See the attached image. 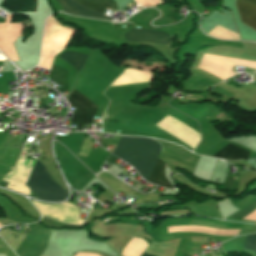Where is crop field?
Listing matches in <instances>:
<instances>
[{"label":"crop field","instance_id":"8a807250","mask_svg":"<svg viewBox=\"0 0 256 256\" xmlns=\"http://www.w3.org/2000/svg\"><path fill=\"white\" fill-rule=\"evenodd\" d=\"M161 146L151 139L139 137H121L113 154L130 163L147 180Z\"/></svg>","mask_w":256,"mask_h":256},{"label":"crop field","instance_id":"ac0d7876","mask_svg":"<svg viewBox=\"0 0 256 256\" xmlns=\"http://www.w3.org/2000/svg\"><path fill=\"white\" fill-rule=\"evenodd\" d=\"M27 185L38 197L45 200L61 201L64 200L67 195V192L61 189L51 179L47 170L39 161H36Z\"/></svg>","mask_w":256,"mask_h":256},{"label":"crop field","instance_id":"34b2d1b8","mask_svg":"<svg viewBox=\"0 0 256 256\" xmlns=\"http://www.w3.org/2000/svg\"><path fill=\"white\" fill-rule=\"evenodd\" d=\"M124 37L129 42H153L157 44H168L170 42V36L166 33L146 29H132Z\"/></svg>","mask_w":256,"mask_h":256},{"label":"crop field","instance_id":"412701ff","mask_svg":"<svg viewBox=\"0 0 256 256\" xmlns=\"http://www.w3.org/2000/svg\"><path fill=\"white\" fill-rule=\"evenodd\" d=\"M256 3V0H251ZM250 0H238L237 6L241 20L256 29V4Z\"/></svg>","mask_w":256,"mask_h":256},{"label":"crop field","instance_id":"f4fd0767","mask_svg":"<svg viewBox=\"0 0 256 256\" xmlns=\"http://www.w3.org/2000/svg\"><path fill=\"white\" fill-rule=\"evenodd\" d=\"M170 233L174 232H182V231H194V232H204L219 236H229V235H237L239 230H219L207 227H199V226H191V225H181V226H172L168 227Z\"/></svg>","mask_w":256,"mask_h":256},{"label":"crop field","instance_id":"dd49c442","mask_svg":"<svg viewBox=\"0 0 256 256\" xmlns=\"http://www.w3.org/2000/svg\"><path fill=\"white\" fill-rule=\"evenodd\" d=\"M56 1L62 6V8L64 9L65 12L110 20L109 17L99 14V13H96V12H93V11H90V10H87V9L83 8L82 6L74 3L71 0H56Z\"/></svg>","mask_w":256,"mask_h":256},{"label":"crop field","instance_id":"e52e79f7","mask_svg":"<svg viewBox=\"0 0 256 256\" xmlns=\"http://www.w3.org/2000/svg\"><path fill=\"white\" fill-rule=\"evenodd\" d=\"M248 153H249L248 151L229 143L220 151L215 153L213 157L227 159V160H238V159L248 158Z\"/></svg>","mask_w":256,"mask_h":256},{"label":"crop field","instance_id":"d8731c3e","mask_svg":"<svg viewBox=\"0 0 256 256\" xmlns=\"http://www.w3.org/2000/svg\"><path fill=\"white\" fill-rule=\"evenodd\" d=\"M0 6L10 12H28L35 11V0H4Z\"/></svg>","mask_w":256,"mask_h":256},{"label":"crop field","instance_id":"5a996713","mask_svg":"<svg viewBox=\"0 0 256 256\" xmlns=\"http://www.w3.org/2000/svg\"><path fill=\"white\" fill-rule=\"evenodd\" d=\"M97 108H77L71 121L77 122L76 130L82 131L83 124H90Z\"/></svg>","mask_w":256,"mask_h":256},{"label":"crop field","instance_id":"3316defc","mask_svg":"<svg viewBox=\"0 0 256 256\" xmlns=\"http://www.w3.org/2000/svg\"><path fill=\"white\" fill-rule=\"evenodd\" d=\"M75 1L79 2L80 4H82L83 6L89 9L96 10L102 13L104 12V9L106 7L117 9V6L114 0H75Z\"/></svg>","mask_w":256,"mask_h":256},{"label":"crop field","instance_id":"28ad6ade","mask_svg":"<svg viewBox=\"0 0 256 256\" xmlns=\"http://www.w3.org/2000/svg\"><path fill=\"white\" fill-rule=\"evenodd\" d=\"M49 79L63 85L61 93L68 90V71L53 64Z\"/></svg>","mask_w":256,"mask_h":256},{"label":"crop field","instance_id":"d1516ede","mask_svg":"<svg viewBox=\"0 0 256 256\" xmlns=\"http://www.w3.org/2000/svg\"><path fill=\"white\" fill-rule=\"evenodd\" d=\"M149 182L171 188L164 176V163L158 159L149 179Z\"/></svg>","mask_w":256,"mask_h":256},{"label":"crop field","instance_id":"22f410ed","mask_svg":"<svg viewBox=\"0 0 256 256\" xmlns=\"http://www.w3.org/2000/svg\"><path fill=\"white\" fill-rule=\"evenodd\" d=\"M58 57L70 63L79 72L88 56L66 51Z\"/></svg>","mask_w":256,"mask_h":256},{"label":"crop field","instance_id":"cbeb9de0","mask_svg":"<svg viewBox=\"0 0 256 256\" xmlns=\"http://www.w3.org/2000/svg\"><path fill=\"white\" fill-rule=\"evenodd\" d=\"M68 102L71 106L74 107H90V106H96L91 101H89L86 97H84L82 94L76 92L73 90L72 94L70 95Z\"/></svg>","mask_w":256,"mask_h":256},{"label":"crop field","instance_id":"5142ce71","mask_svg":"<svg viewBox=\"0 0 256 256\" xmlns=\"http://www.w3.org/2000/svg\"><path fill=\"white\" fill-rule=\"evenodd\" d=\"M255 210H256V201L251 205H249L247 208H245L242 212L236 214L233 217L243 219L244 217H246L247 215H249ZM245 219L256 221V211L250 214L249 216H247Z\"/></svg>","mask_w":256,"mask_h":256},{"label":"crop field","instance_id":"d9b57169","mask_svg":"<svg viewBox=\"0 0 256 256\" xmlns=\"http://www.w3.org/2000/svg\"><path fill=\"white\" fill-rule=\"evenodd\" d=\"M244 248L256 253V235L247 236Z\"/></svg>","mask_w":256,"mask_h":256},{"label":"crop field","instance_id":"733c2abd","mask_svg":"<svg viewBox=\"0 0 256 256\" xmlns=\"http://www.w3.org/2000/svg\"><path fill=\"white\" fill-rule=\"evenodd\" d=\"M248 163L252 164V167L256 168V160H248Z\"/></svg>","mask_w":256,"mask_h":256},{"label":"crop field","instance_id":"4a817a6b","mask_svg":"<svg viewBox=\"0 0 256 256\" xmlns=\"http://www.w3.org/2000/svg\"><path fill=\"white\" fill-rule=\"evenodd\" d=\"M141 256H150V255H147V254H144V253H143Z\"/></svg>","mask_w":256,"mask_h":256},{"label":"crop field","instance_id":"bc2a9ffb","mask_svg":"<svg viewBox=\"0 0 256 256\" xmlns=\"http://www.w3.org/2000/svg\"><path fill=\"white\" fill-rule=\"evenodd\" d=\"M34 162H35V161H33L31 165H34Z\"/></svg>","mask_w":256,"mask_h":256},{"label":"crop field","instance_id":"214f88e0","mask_svg":"<svg viewBox=\"0 0 256 256\" xmlns=\"http://www.w3.org/2000/svg\"><path fill=\"white\" fill-rule=\"evenodd\" d=\"M2 119H0V122H1Z\"/></svg>","mask_w":256,"mask_h":256}]
</instances>
